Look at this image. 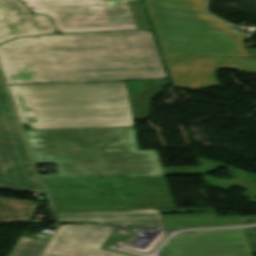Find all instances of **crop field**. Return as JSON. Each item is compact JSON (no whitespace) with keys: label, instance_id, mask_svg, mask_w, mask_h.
<instances>
[{"label":"crop field","instance_id":"733c2abd","mask_svg":"<svg viewBox=\"0 0 256 256\" xmlns=\"http://www.w3.org/2000/svg\"><path fill=\"white\" fill-rule=\"evenodd\" d=\"M241 218V221L244 222V221H254L256 220V216H247V217H240Z\"/></svg>","mask_w":256,"mask_h":256},{"label":"crop field","instance_id":"3316defc","mask_svg":"<svg viewBox=\"0 0 256 256\" xmlns=\"http://www.w3.org/2000/svg\"><path fill=\"white\" fill-rule=\"evenodd\" d=\"M46 15H32L18 0H0V43L12 38L56 33Z\"/></svg>","mask_w":256,"mask_h":256},{"label":"crop field","instance_id":"dd49c442","mask_svg":"<svg viewBox=\"0 0 256 256\" xmlns=\"http://www.w3.org/2000/svg\"><path fill=\"white\" fill-rule=\"evenodd\" d=\"M61 33L150 29L140 0H21Z\"/></svg>","mask_w":256,"mask_h":256},{"label":"crop field","instance_id":"d1516ede","mask_svg":"<svg viewBox=\"0 0 256 256\" xmlns=\"http://www.w3.org/2000/svg\"><path fill=\"white\" fill-rule=\"evenodd\" d=\"M197 159L200 164H203L202 166H200V167H181V168H163L164 173H165V175L202 174L208 185H211V186H214V187L226 190V191L230 190L234 186L245 188L248 190L245 193L251 194L250 196H248V197H250L248 201L250 203L256 204V198H254V196H256V175L243 172L236 168L226 167V164H223V163L205 160V159H201V158H197ZM220 167L229 168L228 171L241 174V176L228 172L227 173L228 175L236 176L239 178L231 176L232 179L226 180V179H217V178L205 175L207 173L217 170ZM167 169H190V171H166ZM170 172H175V174H166V173H170Z\"/></svg>","mask_w":256,"mask_h":256},{"label":"crop field","instance_id":"cbeb9de0","mask_svg":"<svg viewBox=\"0 0 256 256\" xmlns=\"http://www.w3.org/2000/svg\"><path fill=\"white\" fill-rule=\"evenodd\" d=\"M134 119L148 117L149 104L153 96L165 85L167 81H138L127 82Z\"/></svg>","mask_w":256,"mask_h":256},{"label":"crop field","instance_id":"5142ce71","mask_svg":"<svg viewBox=\"0 0 256 256\" xmlns=\"http://www.w3.org/2000/svg\"><path fill=\"white\" fill-rule=\"evenodd\" d=\"M40 203L0 198V222H30Z\"/></svg>","mask_w":256,"mask_h":256},{"label":"crop field","instance_id":"d9b57169","mask_svg":"<svg viewBox=\"0 0 256 256\" xmlns=\"http://www.w3.org/2000/svg\"><path fill=\"white\" fill-rule=\"evenodd\" d=\"M46 241L21 237L9 256H37Z\"/></svg>","mask_w":256,"mask_h":256},{"label":"crop field","instance_id":"5a996713","mask_svg":"<svg viewBox=\"0 0 256 256\" xmlns=\"http://www.w3.org/2000/svg\"><path fill=\"white\" fill-rule=\"evenodd\" d=\"M111 233L107 225H61L41 256H125L100 249Z\"/></svg>","mask_w":256,"mask_h":256},{"label":"crop field","instance_id":"e52e79f7","mask_svg":"<svg viewBox=\"0 0 256 256\" xmlns=\"http://www.w3.org/2000/svg\"><path fill=\"white\" fill-rule=\"evenodd\" d=\"M0 187L43 193L5 88L0 85Z\"/></svg>","mask_w":256,"mask_h":256},{"label":"crop field","instance_id":"bc2a9ffb","mask_svg":"<svg viewBox=\"0 0 256 256\" xmlns=\"http://www.w3.org/2000/svg\"><path fill=\"white\" fill-rule=\"evenodd\" d=\"M0 81H3L1 75H0Z\"/></svg>","mask_w":256,"mask_h":256},{"label":"crop field","instance_id":"f4fd0767","mask_svg":"<svg viewBox=\"0 0 256 256\" xmlns=\"http://www.w3.org/2000/svg\"><path fill=\"white\" fill-rule=\"evenodd\" d=\"M56 211L175 207L165 177L42 180ZM84 186L83 188H58ZM114 186V187H96ZM115 188V190H103ZM116 194V196H95ZM122 194H133L122 196ZM126 197H138L125 199Z\"/></svg>","mask_w":256,"mask_h":256},{"label":"crop field","instance_id":"22f410ed","mask_svg":"<svg viewBox=\"0 0 256 256\" xmlns=\"http://www.w3.org/2000/svg\"><path fill=\"white\" fill-rule=\"evenodd\" d=\"M207 211L212 214H189V215H166L161 216L163 212H201ZM214 209H184V210H159L165 229L200 226V225H216V224H232L239 223L236 216L217 217L213 214Z\"/></svg>","mask_w":256,"mask_h":256},{"label":"crop field","instance_id":"34b2d1b8","mask_svg":"<svg viewBox=\"0 0 256 256\" xmlns=\"http://www.w3.org/2000/svg\"><path fill=\"white\" fill-rule=\"evenodd\" d=\"M9 87L32 129L134 126L124 82Z\"/></svg>","mask_w":256,"mask_h":256},{"label":"crop field","instance_id":"8a807250","mask_svg":"<svg viewBox=\"0 0 256 256\" xmlns=\"http://www.w3.org/2000/svg\"><path fill=\"white\" fill-rule=\"evenodd\" d=\"M0 63L7 84L167 78L150 30L26 37Z\"/></svg>","mask_w":256,"mask_h":256},{"label":"crop field","instance_id":"4a817a6b","mask_svg":"<svg viewBox=\"0 0 256 256\" xmlns=\"http://www.w3.org/2000/svg\"><path fill=\"white\" fill-rule=\"evenodd\" d=\"M249 51L254 53L253 57H256V49H249Z\"/></svg>","mask_w":256,"mask_h":256},{"label":"crop field","instance_id":"d8731c3e","mask_svg":"<svg viewBox=\"0 0 256 256\" xmlns=\"http://www.w3.org/2000/svg\"><path fill=\"white\" fill-rule=\"evenodd\" d=\"M174 87L200 89L219 86L215 71L219 68L256 73V59L163 55Z\"/></svg>","mask_w":256,"mask_h":256},{"label":"crop field","instance_id":"28ad6ade","mask_svg":"<svg viewBox=\"0 0 256 256\" xmlns=\"http://www.w3.org/2000/svg\"><path fill=\"white\" fill-rule=\"evenodd\" d=\"M60 222H99L164 228L158 209L56 212Z\"/></svg>","mask_w":256,"mask_h":256},{"label":"crop field","instance_id":"412701ff","mask_svg":"<svg viewBox=\"0 0 256 256\" xmlns=\"http://www.w3.org/2000/svg\"><path fill=\"white\" fill-rule=\"evenodd\" d=\"M163 53L249 57L243 35L204 12L207 0H145Z\"/></svg>","mask_w":256,"mask_h":256},{"label":"crop field","instance_id":"ac0d7876","mask_svg":"<svg viewBox=\"0 0 256 256\" xmlns=\"http://www.w3.org/2000/svg\"><path fill=\"white\" fill-rule=\"evenodd\" d=\"M34 160L56 163L42 179L164 176L157 150L137 151L134 127L25 131Z\"/></svg>","mask_w":256,"mask_h":256}]
</instances>
